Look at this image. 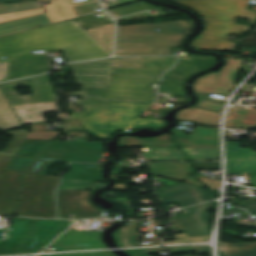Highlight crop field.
Wrapping results in <instances>:
<instances>
[{"mask_svg":"<svg viewBox=\"0 0 256 256\" xmlns=\"http://www.w3.org/2000/svg\"><path fill=\"white\" fill-rule=\"evenodd\" d=\"M54 49H64L68 62L111 55L71 20L0 38V60L12 58L6 81L48 71L46 55L31 51Z\"/></svg>","mask_w":256,"mask_h":256,"instance_id":"1","label":"crop field"},{"mask_svg":"<svg viewBox=\"0 0 256 256\" xmlns=\"http://www.w3.org/2000/svg\"><path fill=\"white\" fill-rule=\"evenodd\" d=\"M186 6L205 19L204 32L189 44L205 50L232 51L234 42L229 35L241 36L256 23V11L247 10L250 0H178L170 1ZM236 18H250L251 26L234 24Z\"/></svg>","mask_w":256,"mask_h":256,"instance_id":"2","label":"crop field"},{"mask_svg":"<svg viewBox=\"0 0 256 256\" xmlns=\"http://www.w3.org/2000/svg\"><path fill=\"white\" fill-rule=\"evenodd\" d=\"M151 104L109 101L108 107L85 106L83 114H72L85 129L99 139L108 140L117 130L165 127L163 120H139Z\"/></svg>","mask_w":256,"mask_h":256,"instance_id":"3","label":"crop field"},{"mask_svg":"<svg viewBox=\"0 0 256 256\" xmlns=\"http://www.w3.org/2000/svg\"><path fill=\"white\" fill-rule=\"evenodd\" d=\"M70 222L15 217L8 235L0 240V255L39 252Z\"/></svg>","mask_w":256,"mask_h":256,"instance_id":"4","label":"crop field"},{"mask_svg":"<svg viewBox=\"0 0 256 256\" xmlns=\"http://www.w3.org/2000/svg\"><path fill=\"white\" fill-rule=\"evenodd\" d=\"M60 178L25 174L15 215L57 218L54 190Z\"/></svg>","mask_w":256,"mask_h":256,"instance_id":"5","label":"crop field"},{"mask_svg":"<svg viewBox=\"0 0 256 256\" xmlns=\"http://www.w3.org/2000/svg\"><path fill=\"white\" fill-rule=\"evenodd\" d=\"M103 152L102 143L53 141L46 146L26 173L46 175L55 160L98 163Z\"/></svg>","mask_w":256,"mask_h":256,"instance_id":"6","label":"crop field"},{"mask_svg":"<svg viewBox=\"0 0 256 256\" xmlns=\"http://www.w3.org/2000/svg\"><path fill=\"white\" fill-rule=\"evenodd\" d=\"M152 84L112 81L111 88L85 86L86 98L154 103Z\"/></svg>","mask_w":256,"mask_h":256,"instance_id":"7","label":"crop field"},{"mask_svg":"<svg viewBox=\"0 0 256 256\" xmlns=\"http://www.w3.org/2000/svg\"><path fill=\"white\" fill-rule=\"evenodd\" d=\"M185 36H117L115 56L155 55V47H181V42Z\"/></svg>","mask_w":256,"mask_h":256,"instance_id":"8","label":"crop field"},{"mask_svg":"<svg viewBox=\"0 0 256 256\" xmlns=\"http://www.w3.org/2000/svg\"><path fill=\"white\" fill-rule=\"evenodd\" d=\"M51 78L52 75L51 73H49L41 77L3 83L0 84V90L4 95L5 99L7 100L8 104L57 101L50 82ZM19 84L31 87L32 95H18L14 89L17 88Z\"/></svg>","mask_w":256,"mask_h":256,"instance_id":"9","label":"crop field"},{"mask_svg":"<svg viewBox=\"0 0 256 256\" xmlns=\"http://www.w3.org/2000/svg\"><path fill=\"white\" fill-rule=\"evenodd\" d=\"M92 192L57 191L59 217L69 219L74 214L76 219L101 216L102 210L90 201Z\"/></svg>","mask_w":256,"mask_h":256,"instance_id":"10","label":"crop field"},{"mask_svg":"<svg viewBox=\"0 0 256 256\" xmlns=\"http://www.w3.org/2000/svg\"><path fill=\"white\" fill-rule=\"evenodd\" d=\"M114 58L68 64L80 85L110 87Z\"/></svg>","mask_w":256,"mask_h":256,"instance_id":"11","label":"crop field"},{"mask_svg":"<svg viewBox=\"0 0 256 256\" xmlns=\"http://www.w3.org/2000/svg\"><path fill=\"white\" fill-rule=\"evenodd\" d=\"M228 64L218 74H210L198 78L193 86L196 91L205 93L229 94L233 89L236 74L241 60L227 59Z\"/></svg>","mask_w":256,"mask_h":256,"instance_id":"12","label":"crop field"},{"mask_svg":"<svg viewBox=\"0 0 256 256\" xmlns=\"http://www.w3.org/2000/svg\"><path fill=\"white\" fill-rule=\"evenodd\" d=\"M211 203L188 208L189 213L176 214L174 228L186 233L188 237L209 235L207 221Z\"/></svg>","mask_w":256,"mask_h":256,"instance_id":"13","label":"crop field"},{"mask_svg":"<svg viewBox=\"0 0 256 256\" xmlns=\"http://www.w3.org/2000/svg\"><path fill=\"white\" fill-rule=\"evenodd\" d=\"M227 172H249L252 186L256 187V152L240 149V143L227 142Z\"/></svg>","mask_w":256,"mask_h":256,"instance_id":"14","label":"crop field"},{"mask_svg":"<svg viewBox=\"0 0 256 256\" xmlns=\"http://www.w3.org/2000/svg\"><path fill=\"white\" fill-rule=\"evenodd\" d=\"M24 172L5 170L0 178V215H12Z\"/></svg>","mask_w":256,"mask_h":256,"instance_id":"15","label":"crop field"},{"mask_svg":"<svg viewBox=\"0 0 256 256\" xmlns=\"http://www.w3.org/2000/svg\"><path fill=\"white\" fill-rule=\"evenodd\" d=\"M100 236L101 232L69 230L51 247L56 251L105 248Z\"/></svg>","mask_w":256,"mask_h":256,"instance_id":"16","label":"crop field"},{"mask_svg":"<svg viewBox=\"0 0 256 256\" xmlns=\"http://www.w3.org/2000/svg\"><path fill=\"white\" fill-rule=\"evenodd\" d=\"M192 27V21L123 26L118 27L117 35L188 34Z\"/></svg>","mask_w":256,"mask_h":256,"instance_id":"17","label":"crop field"},{"mask_svg":"<svg viewBox=\"0 0 256 256\" xmlns=\"http://www.w3.org/2000/svg\"><path fill=\"white\" fill-rule=\"evenodd\" d=\"M216 58H199L189 57L188 59H179L175 68L165 74L164 77H174L179 79H187L190 75L201 70L208 69L214 66ZM161 83L184 85L185 81L174 79H162Z\"/></svg>","mask_w":256,"mask_h":256,"instance_id":"18","label":"crop field"},{"mask_svg":"<svg viewBox=\"0 0 256 256\" xmlns=\"http://www.w3.org/2000/svg\"><path fill=\"white\" fill-rule=\"evenodd\" d=\"M177 59L178 57L144 58L145 68H113V73L162 77L164 71L172 68Z\"/></svg>","mask_w":256,"mask_h":256,"instance_id":"19","label":"crop field"},{"mask_svg":"<svg viewBox=\"0 0 256 256\" xmlns=\"http://www.w3.org/2000/svg\"><path fill=\"white\" fill-rule=\"evenodd\" d=\"M172 132L179 135L176 141L180 146H218L217 128L195 126L190 137L176 128Z\"/></svg>","mask_w":256,"mask_h":256,"instance_id":"20","label":"crop field"},{"mask_svg":"<svg viewBox=\"0 0 256 256\" xmlns=\"http://www.w3.org/2000/svg\"><path fill=\"white\" fill-rule=\"evenodd\" d=\"M22 124L46 122L43 119L45 112H58L55 102L11 105Z\"/></svg>","mask_w":256,"mask_h":256,"instance_id":"21","label":"crop field"},{"mask_svg":"<svg viewBox=\"0 0 256 256\" xmlns=\"http://www.w3.org/2000/svg\"><path fill=\"white\" fill-rule=\"evenodd\" d=\"M47 12L0 23V36L51 24Z\"/></svg>","mask_w":256,"mask_h":256,"instance_id":"22","label":"crop field"},{"mask_svg":"<svg viewBox=\"0 0 256 256\" xmlns=\"http://www.w3.org/2000/svg\"><path fill=\"white\" fill-rule=\"evenodd\" d=\"M49 143L47 141H25L18 150L7 169L25 171L40 151Z\"/></svg>","mask_w":256,"mask_h":256,"instance_id":"23","label":"crop field"},{"mask_svg":"<svg viewBox=\"0 0 256 256\" xmlns=\"http://www.w3.org/2000/svg\"><path fill=\"white\" fill-rule=\"evenodd\" d=\"M152 175L184 182L192 174L189 163H151L147 164Z\"/></svg>","mask_w":256,"mask_h":256,"instance_id":"24","label":"crop field"},{"mask_svg":"<svg viewBox=\"0 0 256 256\" xmlns=\"http://www.w3.org/2000/svg\"><path fill=\"white\" fill-rule=\"evenodd\" d=\"M53 4L45 5L47 12L50 14L53 22H59L71 18H75L76 15L72 9V6L88 4L97 2V0H88L82 2H73L71 0H53Z\"/></svg>","mask_w":256,"mask_h":256,"instance_id":"25","label":"crop field"},{"mask_svg":"<svg viewBox=\"0 0 256 256\" xmlns=\"http://www.w3.org/2000/svg\"><path fill=\"white\" fill-rule=\"evenodd\" d=\"M220 113L198 108H189L177 113L178 121L197 122L209 126L218 127Z\"/></svg>","mask_w":256,"mask_h":256,"instance_id":"26","label":"crop field"},{"mask_svg":"<svg viewBox=\"0 0 256 256\" xmlns=\"http://www.w3.org/2000/svg\"><path fill=\"white\" fill-rule=\"evenodd\" d=\"M43 11L38 2L0 5V22Z\"/></svg>","mask_w":256,"mask_h":256,"instance_id":"27","label":"crop field"},{"mask_svg":"<svg viewBox=\"0 0 256 256\" xmlns=\"http://www.w3.org/2000/svg\"><path fill=\"white\" fill-rule=\"evenodd\" d=\"M7 135L13 134L11 140L9 141L6 148L0 152V176L12 161L13 157L15 156L17 150L19 149L22 142L25 140L28 132L26 129L17 130L12 132H6Z\"/></svg>","mask_w":256,"mask_h":256,"instance_id":"28","label":"crop field"},{"mask_svg":"<svg viewBox=\"0 0 256 256\" xmlns=\"http://www.w3.org/2000/svg\"><path fill=\"white\" fill-rule=\"evenodd\" d=\"M71 166L72 170L65 175V179L105 181L101 176L103 168L98 164H71Z\"/></svg>","mask_w":256,"mask_h":256,"instance_id":"29","label":"crop field"},{"mask_svg":"<svg viewBox=\"0 0 256 256\" xmlns=\"http://www.w3.org/2000/svg\"><path fill=\"white\" fill-rule=\"evenodd\" d=\"M147 162L156 161H186L187 158L177 148L142 149Z\"/></svg>","mask_w":256,"mask_h":256,"instance_id":"30","label":"crop field"},{"mask_svg":"<svg viewBox=\"0 0 256 256\" xmlns=\"http://www.w3.org/2000/svg\"><path fill=\"white\" fill-rule=\"evenodd\" d=\"M171 135H163L152 139H134L129 137L120 138V147H176L175 144L168 142Z\"/></svg>","mask_w":256,"mask_h":256,"instance_id":"31","label":"crop field"},{"mask_svg":"<svg viewBox=\"0 0 256 256\" xmlns=\"http://www.w3.org/2000/svg\"><path fill=\"white\" fill-rule=\"evenodd\" d=\"M114 24L111 23V24L85 30L111 54L113 51V41H114V32H115Z\"/></svg>","mask_w":256,"mask_h":256,"instance_id":"32","label":"crop field"},{"mask_svg":"<svg viewBox=\"0 0 256 256\" xmlns=\"http://www.w3.org/2000/svg\"><path fill=\"white\" fill-rule=\"evenodd\" d=\"M130 223L129 226H124L118 231L114 232V236L116 241L120 247H130V246H146V245H135V238L137 237L135 232V227L137 225V221H128ZM128 236V238H125ZM161 244L160 241H151V244L147 245H156Z\"/></svg>","mask_w":256,"mask_h":256,"instance_id":"33","label":"crop field"},{"mask_svg":"<svg viewBox=\"0 0 256 256\" xmlns=\"http://www.w3.org/2000/svg\"><path fill=\"white\" fill-rule=\"evenodd\" d=\"M228 256H256V242L222 243ZM225 256V253H220Z\"/></svg>","mask_w":256,"mask_h":256,"instance_id":"34","label":"crop field"},{"mask_svg":"<svg viewBox=\"0 0 256 256\" xmlns=\"http://www.w3.org/2000/svg\"><path fill=\"white\" fill-rule=\"evenodd\" d=\"M18 126H21L20 122L0 92V129L8 130Z\"/></svg>","mask_w":256,"mask_h":256,"instance_id":"35","label":"crop field"},{"mask_svg":"<svg viewBox=\"0 0 256 256\" xmlns=\"http://www.w3.org/2000/svg\"><path fill=\"white\" fill-rule=\"evenodd\" d=\"M190 161L219 160L218 148H183Z\"/></svg>","mask_w":256,"mask_h":256,"instance_id":"36","label":"crop field"},{"mask_svg":"<svg viewBox=\"0 0 256 256\" xmlns=\"http://www.w3.org/2000/svg\"><path fill=\"white\" fill-rule=\"evenodd\" d=\"M84 29L113 22L106 12L74 19Z\"/></svg>","mask_w":256,"mask_h":256,"instance_id":"37","label":"crop field"},{"mask_svg":"<svg viewBox=\"0 0 256 256\" xmlns=\"http://www.w3.org/2000/svg\"><path fill=\"white\" fill-rule=\"evenodd\" d=\"M154 6L142 1L135 4L127 5L117 9L109 10V13L114 17H120L134 12L142 11L145 9L153 8Z\"/></svg>","mask_w":256,"mask_h":256,"instance_id":"38","label":"crop field"},{"mask_svg":"<svg viewBox=\"0 0 256 256\" xmlns=\"http://www.w3.org/2000/svg\"><path fill=\"white\" fill-rule=\"evenodd\" d=\"M226 127L256 128V119L227 118Z\"/></svg>","mask_w":256,"mask_h":256,"instance_id":"39","label":"crop field"},{"mask_svg":"<svg viewBox=\"0 0 256 256\" xmlns=\"http://www.w3.org/2000/svg\"><path fill=\"white\" fill-rule=\"evenodd\" d=\"M114 67H144L143 58H115Z\"/></svg>","mask_w":256,"mask_h":256,"instance_id":"40","label":"crop field"},{"mask_svg":"<svg viewBox=\"0 0 256 256\" xmlns=\"http://www.w3.org/2000/svg\"><path fill=\"white\" fill-rule=\"evenodd\" d=\"M94 184V182L89 181H71L63 179L59 189H87Z\"/></svg>","mask_w":256,"mask_h":256,"instance_id":"41","label":"crop field"},{"mask_svg":"<svg viewBox=\"0 0 256 256\" xmlns=\"http://www.w3.org/2000/svg\"><path fill=\"white\" fill-rule=\"evenodd\" d=\"M159 93L171 94V96H186L184 86L178 85L161 84L159 87Z\"/></svg>","mask_w":256,"mask_h":256,"instance_id":"42","label":"crop field"},{"mask_svg":"<svg viewBox=\"0 0 256 256\" xmlns=\"http://www.w3.org/2000/svg\"><path fill=\"white\" fill-rule=\"evenodd\" d=\"M228 117L256 118V109H242L231 107Z\"/></svg>","mask_w":256,"mask_h":256,"instance_id":"43","label":"crop field"},{"mask_svg":"<svg viewBox=\"0 0 256 256\" xmlns=\"http://www.w3.org/2000/svg\"><path fill=\"white\" fill-rule=\"evenodd\" d=\"M160 78L148 77V76H130V75H114L112 80L122 81H143V82H158Z\"/></svg>","mask_w":256,"mask_h":256,"instance_id":"44","label":"crop field"},{"mask_svg":"<svg viewBox=\"0 0 256 256\" xmlns=\"http://www.w3.org/2000/svg\"><path fill=\"white\" fill-rule=\"evenodd\" d=\"M72 96H82L83 99L78 100L81 105L107 106L108 101L85 99L84 86H81V93H71Z\"/></svg>","mask_w":256,"mask_h":256,"instance_id":"45","label":"crop field"},{"mask_svg":"<svg viewBox=\"0 0 256 256\" xmlns=\"http://www.w3.org/2000/svg\"><path fill=\"white\" fill-rule=\"evenodd\" d=\"M168 249L171 251V253L192 251H199L200 253H210V249L208 246L168 247Z\"/></svg>","mask_w":256,"mask_h":256,"instance_id":"46","label":"crop field"},{"mask_svg":"<svg viewBox=\"0 0 256 256\" xmlns=\"http://www.w3.org/2000/svg\"><path fill=\"white\" fill-rule=\"evenodd\" d=\"M190 178V177H189ZM199 180H201L202 182L208 184L211 188L212 191H217L219 189L220 186V181L217 180H210V179H204V178H199L197 177ZM185 183L188 184H192V185H196V186H200V187H204L203 184L199 183L198 181H196L193 177H191L190 179H188Z\"/></svg>","mask_w":256,"mask_h":256,"instance_id":"47","label":"crop field"},{"mask_svg":"<svg viewBox=\"0 0 256 256\" xmlns=\"http://www.w3.org/2000/svg\"><path fill=\"white\" fill-rule=\"evenodd\" d=\"M77 16H83L91 13H95V8H101L98 3L94 4H88V5H82V6H76L73 7Z\"/></svg>","mask_w":256,"mask_h":256,"instance_id":"48","label":"crop field"},{"mask_svg":"<svg viewBox=\"0 0 256 256\" xmlns=\"http://www.w3.org/2000/svg\"><path fill=\"white\" fill-rule=\"evenodd\" d=\"M63 132L29 133L26 139L54 140Z\"/></svg>","mask_w":256,"mask_h":256,"instance_id":"49","label":"crop field"},{"mask_svg":"<svg viewBox=\"0 0 256 256\" xmlns=\"http://www.w3.org/2000/svg\"><path fill=\"white\" fill-rule=\"evenodd\" d=\"M43 256H115V255L109 251H100V252L55 254V255H43Z\"/></svg>","mask_w":256,"mask_h":256,"instance_id":"50","label":"crop field"},{"mask_svg":"<svg viewBox=\"0 0 256 256\" xmlns=\"http://www.w3.org/2000/svg\"><path fill=\"white\" fill-rule=\"evenodd\" d=\"M203 195H205V193L197 195V196H193V197H190V198H186V199H183V200L176 201V203H178L180 206L184 207V206L196 204V203H199V202H203V201H206L204 198H202ZM172 203H174V202H172ZM169 204H171V203H169ZM169 204H165V206L169 205Z\"/></svg>","mask_w":256,"mask_h":256,"instance_id":"51","label":"crop field"},{"mask_svg":"<svg viewBox=\"0 0 256 256\" xmlns=\"http://www.w3.org/2000/svg\"><path fill=\"white\" fill-rule=\"evenodd\" d=\"M204 192H205V189L200 188V189L190 191V192H187V193H184V194L172 197V198L162 200V202H163V204H165V203H169V202H172V201H176V200H179V199H183V198L190 197V196L197 195V194L204 193Z\"/></svg>","mask_w":256,"mask_h":256,"instance_id":"52","label":"crop field"},{"mask_svg":"<svg viewBox=\"0 0 256 256\" xmlns=\"http://www.w3.org/2000/svg\"><path fill=\"white\" fill-rule=\"evenodd\" d=\"M238 206L247 209L252 215H256V202L244 199L238 203Z\"/></svg>","mask_w":256,"mask_h":256,"instance_id":"53","label":"crop field"},{"mask_svg":"<svg viewBox=\"0 0 256 256\" xmlns=\"http://www.w3.org/2000/svg\"><path fill=\"white\" fill-rule=\"evenodd\" d=\"M195 169H220L219 162L193 163Z\"/></svg>","mask_w":256,"mask_h":256,"instance_id":"54","label":"crop field"},{"mask_svg":"<svg viewBox=\"0 0 256 256\" xmlns=\"http://www.w3.org/2000/svg\"><path fill=\"white\" fill-rule=\"evenodd\" d=\"M166 250L164 248H153V249H138V250H125L132 256H149L147 253L151 251Z\"/></svg>","mask_w":256,"mask_h":256,"instance_id":"55","label":"crop field"},{"mask_svg":"<svg viewBox=\"0 0 256 256\" xmlns=\"http://www.w3.org/2000/svg\"><path fill=\"white\" fill-rule=\"evenodd\" d=\"M65 124L68 131H86L78 120H68Z\"/></svg>","mask_w":256,"mask_h":256,"instance_id":"56","label":"crop field"},{"mask_svg":"<svg viewBox=\"0 0 256 256\" xmlns=\"http://www.w3.org/2000/svg\"><path fill=\"white\" fill-rule=\"evenodd\" d=\"M10 60L11 59L0 61V82L6 80Z\"/></svg>","mask_w":256,"mask_h":256,"instance_id":"57","label":"crop field"},{"mask_svg":"<svg viewBox=\"0 0 256 256\" xmlns=\"http://www.w3.org/2000/svg\"><path fill=\"white\" fill-rule=\"evenodd\" d=\"M197 188H200V187H195V186L187 187V188H184V189L172 192V193H168V194L159 196V198H160V200H162V199H165V198H168V197H172V196H175V195H178V194L190 191V190L197 189Z\"/></svg>","mask_w":256,"mask_h":256,"instance_id":"58","label":"crop field"},{"mask_svg":"<svg viewBox=\"0 0 256 256\" xmlns=\"http://www.w3.org/2000/svg\"><path fill=\"white\" fill-rule=\"evenodd\" d=\"M187 186H191V185H187L185 183H182V184H178V185H175V186H172V187H168V188H165V189H162V190H158L157 191L158 192V196L162 195V194H165V193H168V192H171V191H175V190L187 187Z\"/></svg>","mask_w":256,"mask_h":256,"instance_id":"59","label":"crop field"},{"mask_svg":"<svg viewBox=\"0 0 256 256\" xmlns=\"http://www.w3.org/2000/svg\"><path fill=\"white\" fill-rule=\"evenodd\" d=\"M197 105L206 107V108H210V109H214V110H218V111H221V109L223 107L221 105H217V104H213V103H209V102H205V101H201V100L198 101Z\"/></svg>","mask_w":256,"mask_h":256,"instance_id":"60","label":"crop field"},{"mask_svg":"<svg viewBox=\"0 0 256 256\" xmlns=\"http://www.w3.org/2000/svg\"><path fill=\"white\" fill-rule=\"evenodd\" d=\"M175 237L177 238L178 241H175V242H165V244L190 243L188 237L185 234H178V235H175ZM179 239H183V240H179Z\"/></svg>","mask_w":256,"mask_h":256,"instance_id":"61","label":"crop field"},{"mask_svg":"<svg viewBox=\"0 0 256 256\" xmlns=\"http://www.w3.org/2000/svg\"><path fill=\"white\" fill-rule=\"evenodd\" d=\"M69 136H75L76 138H87V133L82 132H69Z\"/></svg>","mask_w":256,"mask_h":256,"instance_id":"62","label":"crop field"},{"mask_svg":"<svg viewBox=\"0 0 256 256\" xmlns=\"http://www.w3.org/2000/svg\"><path fill=\"white\" fill-rule=\"evenodd\" d=\"M242 210L241 208H238V207H234V208H230V209H226L223 211V216H226V215H229L231 213H234V212H237V211H240Z\"/></svg>","mask_w":256,"mask_h":256,"instance_id":"63","label":"crop field"},{"mask_svg":"<svg viewBox=\"0 0 256 256\" xmlns=\"http://www.w3.org/2000/svg\"><path fill=\"white\" fill-rule=\"evenodd\" d=\"M209 236H203V237H195V238H190L192 243L195 242H202V241H207Z\"/></svg>","mask_w":256,"mask_h":256,"instance_id":"64","label":"crop field"},{"mask_svg":"<svg viewBox=\"0 0 256 256\" xmlns=\"http://www.w3.org/2000/svg\"><path fill=\"white\" fill-rule=\"evenodd\" d=\"M116 200L119 203H123V204H126V205L130 206L128 198H118Z\"/></svg>","mask_w":256,"mask_h":256,"instance_id":"65","label":"crop field"},{"mask_svg":"<svg viewBox=\"0 0 256 256\" xmlns=\"http://www.w3.org/2000/svg\"><path fill=\"white\" fill-rule=\"evenodd\" d=\"M237 222L242 223V224H246V225H252V226H255V227H256V222L253 223V224H248V223H246V222L243 221V220H240V221H237Z\"/></svg>","mask_w":256,"mask_h":256,"instance_id":"66","label":"crop field"},{"mask_svg":"<svg viewBox=\"0 0 256 256\" xmlns=\"http://www.w3.org/2000/svg\"><path fill=\"white\" fill-rule=\"evenodd\" d=\"M132 213H133V209H132V208H129L127 217H128V218H131V217H132Z\"/></svg>","mask_w":256,"mask_h":256,"instance_id":"67","label":"crop field"},{"mask_svg":"<svg viewBox=\"0 0 256 256\" xmlns=\"http://www.w3.org/2000/svg\"><path fill=\"white\" fill-rule=\"evenodd\" d=\"M14 1H19V0H0V3H4V2H14Z\"/></svg>","mask_w":256,"mask_h":256,"instance_id":"68","label":"crop field"},{"mask_svg":"<svg viewBox=\"0 0 256 256\" xmlns=\"http://www.w3.org/2000/svg\"><path fill=\"white\" fill-rule=\"evenodd\" d=\"M4 229L0 228V238L3 237L4 235H1L3 233Z\"/></svg>","mask_w":256,"mask_h":256,"instance_id":"69","label":"crop field"}]
</instances>
